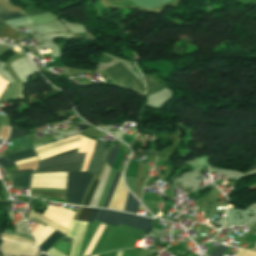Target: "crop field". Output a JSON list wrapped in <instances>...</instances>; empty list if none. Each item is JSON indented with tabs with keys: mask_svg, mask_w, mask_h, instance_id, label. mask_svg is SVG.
<instances>
[{
	"mask_svg": "<svg viewBox=\"0 0 256 256\" xmlns=\"http://www.w3.org/2000/svg\"><path fill=\"white\" fill-rule=\"evenodd\" d=\"M98 225H99V222H97V221H94L93 224H91V223L87 224V228H86V232H85V236H84V240H83V243H82V247H81V251H80L79 256H82L85 248L87 247V245H88L90 239L92 238L94 232L96 231ZM111 229H112V226L106 225V227H105L102 235L100 236L97 244L95 245L91 255L98 254L100 252V250H101L105 240L107 239ZM113 229H114V227H113ZM113 229H112V231H113ZM112 231H111V233H112ZM143 234H144L143 231H139V230L133 229V228L128 227V226L120 225L119 228L115 227L111 236L109 235L110 238L108 237L109 240L108 241L106 240L107 243L105 242L106 245L104 244L105 246H104L102 252L127 248L128 244L131 241V238H129L130 235L142 238ZM137 237L135 238L136 239L135 242L137 240H140V238H137ZM133 242H134V240L132 239L128 248H131ZM135 242H134V244H135ZM134 244H133V246H134ZM133 246H132V248H133Z\"/></svg>",
	"mask_w": 256,
	"mask_h": 256,
	"instance_id": "obj_1",
	"label": "crop field"
},
{
	"mask_svg": "<svg viewBox=\"0 0 256 256\" xmlns=\"http://www.w3.org/2000/svg\"><path fill=\"white\" fill-rule=\"evenodd\" d=\"M96 220L119 227L120 224L128 225L139 230L149 232L154 220L132 214L112 210H99Z\"/></svg>",
	"mask_w": 256,
	"mask_h": 256,
	"instance_id": "obj_2",
	"label": "crop field"
},
{
	"mask_svg": "<svg viewBox=\"0 0 256 256\" xmlns=\"http://www.w3.org/2000/svg\"><path fill=\"white\" fill-rule=\"evenodd\" d=\"M92 176L91 172L68 173L65 202L80 204Z\"/></svg>",
	"mask_w": 256,
	"mask_h": 256,
	"instance_id": "obj_3",
	"label": "crop field"
},
{
	"mask_svg": "<svg viewBox=\"0 0 256 256\" xmlns=\"http://www.w3.org/2000/svg\"><path fill=\"white\" fill-rule=\"evenodd\" d=\"M108 73L116 83L132 87L143 93V84L137 80L120 62L104 70Z\"/></svg>",
	"mask_w": 256,
	"mask_h": 256,
	"instance_id": "obj_4",
	"label": "crop field"
},
{
	"mask_svg": "<svg viewBox=\"0 0 256 256\" xmlns=\"http://www.w3.org/2000/svg\"><path fill=\"white\" fill-rule=\"evenodd\" d=\"M79 136L81 138V140H79V141H75V142L69 143L67 145H64V146H62L60 148L53 149V150L46 151V152H43L41 154H38L39 161L43 160L45 158L51 157L53 155H56V154H59V153L65 152V151L77 149V148H79L78 152H86L89 139L84 137V136H82V135H79ZM75 137H78V136H75ZM75 137H70V138H66V139L60 140L58 142H55V143L43 146L41 148L35 149L34 151L42 149V148H45V147H48V146H51V145H54L56 143H59V142H62V141H65V140H68V139H71V138H75Z\"/></svg>",
	"mask_w": 256,
	"mask_h": 256,
	"instance_id": "obj_5",
	"label": "crop field"
},
{
	"mask_svg": "<svg viewBox=\"0 0 256 256\" xmlns=\"http://www.w3.org/2000/svg\"><path fill=\"white\" fill-rule=\"evenodd\" d=\"M2 252L13 255L35 256L39 251L23 244H17L12 242H3Z\"/></svg>",
	"mask_w": 256,
	"mask_h": 256,
	"instance_id": "obj_6",
	"label": "crop field"
},
{
	"mask_svg": "<svg viewBox=\"0 0 256 256\" xmlns=\"http://www.w3.org/2000/svg\"><path fill=\"white\" fill-rule=\"evenodd\" d=\"M85 154L86 153H76L70 156L54 159V160L39 164L38 168L52 166V165L73 163V162H83Z\"/></svg>",
	"mask_w": 256,
	"mask_h": 256,
	"instance_id": "obj_7",
	"label": "crop field"
},
{
	"mask_svg": "<svg viewBox=\"0 0 256 256\" xmlns=\"http://www.w3.org/2000/svg\"><path fill=\"white\" fill-rule=\"evenodd\" d=\"M83 163H73L37 169L36 173L80 171Z\"/></svg>",
	"mask_w": 256,
	"mask_h": 256,
	"instance_id": "obj_8",
	"label": "crop field"
},
{
	"mask_svg": "<svg viewBox=\"0 0 256 256\" xmlns=\"http://www.w3.org/2000/svg\"><path fill=\"white\" fill-rule=\"evenodd\" d=\"M53 231L54 229L48 226L45 228L39 224V226L32 233L37 243V246H39Z\"/></svg>",
	"mask_w": 256,
	"mask_h": 256,
	"instance_id": "obj_9",
	"label": "crop field"
},
{
	"mask_svg": "<svg viewBox=\"0 0 256 256\" xmlns=\"http://www.w3.org/2000/svg\"><path fill=\"white\" fill-rule=\"evenodd\" d=\"M31 174L32 173L12 174L13 187H29Z\"/></svg>",
	"mask_w": 256,
	"mask_h": 256,
	"instance_id": "obj_10",
	"label": "crop field"
},
{
	"mask_svg": "<svg viewBox=\"0 0 256 256\" xmlns=\"http://www.w3.org/2000/svg\"><path fill=\"white\" fill-rule=\"evenodd\" d=\"M62 236L64 235L55 230L38 248L45 252Z\"/></svg>",
	"mask_w": 256,
	"mask_h": 256,
	"instance_id": "obj_11",
	"label": "crop field"
},
{
	"mask_svg": "<svg viewBox=\"0 0 256 256\" xmlns=\"http://www.w3.org/2000/svg\"><path fill=\"white\" fill-rule=\"evenodd\" d=\"M89 209L90 208L83 207L79 216H78V218H77V220L84 221L86 216H87V213H88ZM98 210L99 209L91 208L85 221L86 222H93V220L95 219V217L97 215Z\"/></svg>",
	"mask_w": 256,
	"mask_h": 256,
	"instance_id": "obj_12",
	"label": "crop field"
},
{
	"mask_svg": "<svg viewBox=\"0 0 256 256\" xmlns=\"http://www.w3.org/2000/svg\"><path fill=\"white\" fill-rule=\"evenodd\" d=\"M30 217H33V218H36V219H39V220L43 221L44 223H46L47 225H49V226L55 228L56 230H58L59 232H61V233L64 234V235H66V233L68 232L67 229L62 228V227H60V226H58V225H56V224L50 222L49 220L45 219L44 217H42V216L36 214L34 211H31V212H30V215H29L28 218H30Z\"/></svg>",
	"mask_w": 256,
	"mask_h": 256,
	"instance_id": "obj_13",
	"label": "crop field"
},
{
	"mask_svg": "<svg viewBox=\"0 0 256 256\" xmlns=\"http://www.w3.org/2000/svg\"><path fill=\"white\" fill-rule=\"evenodd\" d=\"M144 80H145V85H146V96H149L151 94H154L158 91H160L161 89H163V87H160L158 85H156L153 81H151L148 77H146L145 75H143Z\"/></svg>",
	"mask_w": 256,
	"mask_h": 256,
	"instance_id": "obj_14",
	"label": "crop field"
},
{
	"mask_svg": "<svg viewBox=\"0 0 256 256\" xmlns=\"http://www.w3.org/2000/svg\"><path fill=\"white\" fill-rule=\"evenodd\" d=\"M139 206L138 201L133 197V195L129 192L127 200H126V206L125 210L126 212H132L136 214L137 208Z\"/></svg>",
	"mask_w": 256,
	"mask_h": 256,
	"instance_id": "obj_15",
	"label": "crop field"
},
{
	"mask_svg": "<svg viewBox=\"0 0 256 256\" xmlns=\"http://www.w3.org/2000/svg\"><path fill=\"white\" fill-rule=\"evenodd\" d=\"M71 246H72L71 244L58 240V242L52 248L56 249L57 251L64 254L65 256H69Z\"/></svg>",
	"mask_w": 256,
	"mask_h": 256,
	"instance_id": "obj_16",
	"label": "crop field"
},
{
	"mask_svg": "<svg viewBox=\"0 0 256 256\" xmlns=\"http://www.w3.org/2000/svg\"><path fill=\"white\" fill-rule=\"evenodd\" d=\"M101 161L102 159L95 152H93L87 171H92L93 174H96Z\"/></svg>",
	"mask_w": 256,
	"mask_h": 256,
	"instance_id": "obj_17",
	"label": "crop field"
},
{
	"mask_svg": "<svg viewBox=\"0 0 256 256\" xmlns=\"http://www.w3.org/2000/svg\"><path fill=\"white\" fill-rule=\"evenodd\" d=\"M132 251H133V249H131V250H121V251H118L117 256H131ZM138 251H139V249H134L132 256H136ZM116 252L117 251H114V252H112V254H111V252L105 253L104 256H110V254H111V256H116ZM102 255L103 254H101L99 256H102Z\"/></svg>",
	"mask_w": 256,
	"mask_h": 256,
	"instance_id": "obj_18",
	"label": "crop field"
},
{
	"mask_svg": "<svg viewBox=\"0 0 256 256\" xmlns=\"http://www.w3.org/2000/svg\"><path fill=\"white\" fill-rule=\"evenodd\" d=\"M20 17H27V15L23 12H16V13H1L0 19L3 21L14 19V18H20Z\"/></svg>",
	"mask_w": 256,
	"mask_h": 256,
	"instance_id": "obj_19",
	"label": "crop field"
},
{
	"mask_svg": "<svg viewBox=\"0 0 256 256\" xmlns=\"http://www.w3.org/2000/svg\"><path fill=\"white\" fill-rule=\"evenodd\" d=\"M30 194H35V195H41V196H48L56 199H61L64 200L65 194L61 193H54V192H30Z\"/></svg>",
	"mask_w": 256,
	"mask_h": 256,
	"instance_id": "obj_20",
	"label": "crop field"
},
{
	"mask_svg": "<svg viewBox=\"0 0 256 256\" xmlns=\"http://www.w3.org/2000/svg\"><path fill=\"white\" fill-rule=\"evenodd\" d=\"M17 32H15L13 29H11L10 27H2V32H1V36L2 37H6V38H13L15 39L17 36Z\"/></svg>",
	"mask_w": 256,
	"mask_h": 256,
	"instance_id": "obj_21",
	"label": "crop field"
},
{
	"mask_svg": "<svg viewBox=\"0 0 256 256\" xmlns=\"http://www.w3.org/2000/svg\"><path fill=\"white\" fill-rule=\"evenodd\" d=\"M119 175H120V173L117 172L116 175H115V177H114V180H113V182H112V184H111V187H110V189H109V192H108V195H107L105 204H104V206H103V207H105V208L108 207V204H109V201H110L112 192H113V190H114V187H115V185H116V182H117V180H118Z\"/></svg>",
	"mask_w": 256,
	"mask_h": 256,
	"instance_id": "obj_22",
	"label": "crop field"
},
{
	"mask_svg": "<svg viewBox=\"0 0 256 256\" xmlns=\"http://www.w3.org/2000/svg\"><path fill=\"white\" fill-rule=\"evenodd\" d=\"M18 140H19V149H18V151L32 148L28 136L23 137V138H19Z\"/></svg>",
	"mask_w": 256,
	"mask_h": 256,
	"instance_id": "obj_23",
	"label": "crop field"
},
{
	"mask_svg": "<svg viewBox=\"0 0 256 256\" xmlns=\"http://www.w3.org/2000/svg\"><path fill=\"white\" fill-rule=\"evenodd\" d=\"M31 154H34L33 149L23 151V152H19V153L9 154L6 157H7L8 160H10V159H15V158H19V157L28 156V155H31Z\"/></svg>",
	"mask_w": 256,
	"mask_h": 256,
	"instance_id": "obj_24",
	"label": "crop field"
},
{
	"mask_svg": "<svg viewBox=\"0 0 256 256\" xmlns=\"http://www.w3.org/2000/svg\"><path fill=\"white\" fill-rule=\"evenodd\" d=\"M33 156H36V155L34 154V155H31V156H28L25 158H29V157H33ZM25 158H21V159H25ZM21 159L7 161L6 157H2V158H0V166L2 168L13 166V165H15L14 162L21 160Z\"/></svg>",
	"mask_w": 256,
	"mask_h": 256,
	"instance_id": "obj_25",
	"label": "crop field"
},
{
	"mask_svg": "<svg viewBox=\"0 0 256 256\" xmlns=\"http://www.w3.org/2000/svg\"><path fill=\"white\" fill-rule=\"evenodd\" d=\"M24 135H27L24 128H12L9 140L12 138H16Z\"/></svg>",
	"mask_w": 256,
	"mask_h": 256,
	"instance_id": "obj_26",
	"label": "crop field"
},
{
	"mask_svg": "<svg viewBox=\"0 0 256 256\" xmlns=\"http://www.w3.org/2000/svg\"><path fill=\"white\" fill-rule=\"evenodd\" d=\"M6 23L10 24L11 26H19L23 24H30L32 21L29 19V17L25 19H20V20H13V21H6Z\"/></svg>",
	"mask_w": 256,
	"mask_h": 256,
	"instance_id": "obj_27",
	"label": "crop field"
},
{
	"mask_svg": "<svg viewBox=\"0 0 256 256\" xmlns=\"http://www.w3.org/2000/svg\"><path fill=\"white\" fill-rule=\"evenodd\" d=\"M36 177H67V173L36 174L32 178Z\"/></svg>",
	"mask_w": 256,
	"mask_h": 256,
	"instance_id": "obj_28",
	"label": "crop field"
},
{
	"mask_svg": "<svg viewBox=\"0 0 256 256\" xmlns=\"http://www.w3.org/2000/svg\"><path fill=\"white\" fill-rule=\"evenodd\" d=\"M106 145H107V144L100 143V142H98V141H97V143H96L95 151L99 154V156H100L101 158H103Z\"/></svg>",
	"mask_w": 256,
	"mask_h": 256,
	"instance_id": "obj_29",
	"label": "crop field"
},
{
	"mask_svg": "<svg viewBox=\"0 0 256 256\" xmlns=\"http://www.w3.org/2000/svg\"><path fill=\"white\" fill-rule=\"evenodd\" d=\"M97 183H98V181L95 180L94 183H93V185H92V187H91V189H90V191H89V193H88V195H87V197H86V199H85V201H84V202H85V203H84L85 206L88 205V203H89V201H90V199H91V196H92V194H93V192H94V190H95V188H96Z\"/></svg>",
	"mask_w": 256,
	"mask_h": 256,
	"instance_id": "obj_30",
	"label": "crop field"
},
{
	"mask_svg": "<svg viewBox=\"0 0 256 256\" xmlns=\"http://www.w3.org/2000/svg\"><path fill=\"white\" fill-rule=\"evenodd\" d=\"M227 248L228 247L219 244L217 249L210 256H221L227 250Z\"/></svg>",
	"mask_w": 256,
	"mask_h": 256,
	"instance_id": "obj_31",
	"label": "crop field"
},
{
	"mask_svg": "<svg viewBox=\"0 0 256 256\" xmlns=\"http://www.w3.org/2000/svg\"><path fill=\"white\" fill-rule=\"evenodd\" d=\"M118 148H119V147H117V146H114V147H113V150H112V153H111L109 162H108V164L110 165V167H112V165H113V163H114V161H115Z\"/></svg>",
	"mask_w": 256,
	"mask_h": 256,
	"instance_id": "obj_32",
	"label": "crop field"
},
{
	"mask_svg": "<svg viewBox=\"0 0 256 256\" xmlns=\"http://www.w3.org/2000/svg\"><path fill=\"white\" fill-rule=\"evenodd\" d=\"M78 139H79V138H77V139H72V140H68V141L62 142V143H60V144H57V145H54V146H51V147H48V148H45V149L36 151V154H38V153H40V152H43V151H46V150H49V149H52V148H55V147H58V146H60V145H63V144L69 143V142H72V141L78 140Z\"/></svg>",
	"mask_w": 256,
	"mask_h": 256,
	"instance_id": "obj_33",
	"label": "crop field"
},
{
	"mask_svg": "<svg viewBox=\"0 0 256 256\" xmlns=\"http://www.w3.org/2000/svg\"><path fill=\"white\" fill-rule=\"evenodd\" d=\"M140 165H141V164L139 163V164H138V173H137L136 188H135V192H134L135 195H136L137 188H138V179H139ZM141 168H142V166H141ZM140 184H141V173H140V180H139L138 192H139V189H140ZM138 192H137V196H138Z\"/></svg>",
	"mask_w": 256,
	"mask_h": 256,
	"instance_id": "obj_34",
	"label": "crop field"
},
{
	"mask_svg": "<svg viewBox=\"0 0 256 256\" xmlns=\"http://www.w3.org/2000/svg\"><path fill=\"white\" fill-rule=\"evenodd\" d=\"M77 150H78V149H77ZM77 150H73V151L66 152V153H63V154H60V155H56V156H54V157H52V158H49V159H47V160H44V161H48V160H51V159H54V158H57V157H61V156H65V155L73 154V153H76V152H77ZM44 161H42V162H44Z\"/></svg>",
	"mask_w": 256,
	"mask_h": 256,
	"instance_id": "obj_35",
	"label": "crop field"
},
{
	"mask_svg": "<svg viewBox=\"0 0 256 256\" xmlns=\"http://www.w3.org/2000/svg\"><path fill=\"white\" fill-rule=\"evenodd\" d=\"M35 160H37V157L21 160V161L16 162L15 164L18 165V164H22V163H26V162H30V161H35Z\"/></svg>",
	"mask_w": 256,
	"mask_h": 256,
	"instance_id": "obj_36",
	"label": "crop field"
},
{
	"mask_svg": "<svg viewBox=\"0 0 256 256\" xmlns=\"http://www.w3.org/2000/svg\"><path fill=\"white\" fill-rule=\"evenodd\" d=\"M256 169V161L253 162V164L249 167V169L247 171Z\"/></svg>",
	"mask_w": 256,
	"mask_h": 256,
	"instance_id": "obj_37",
	"label": "crop field"
},
{
	"mask_svg": "<svg viewBox=\"0 0 256 256\" xmlns=\"http://www.w3.org/2000/svg\"><path fill=\"white\" fill-rule=\"evenodd\" d=\"M21 172H32V170L13 171V172H8V173H21Z\"/></svg>",
	"mask_w": 256,
	"mask_h": 256,
	"instance_id": "obj_38",
	"label": "crop field"
},
{
	"mask_svg": "<svg viewBox=\"0 0 256 256\" xmlns=\"http://www.w3.org/2000/svg\"><path fill=\"white\" fill-rule=\"evenodd\" d=\"M244 250L239 249L235 256H241Z\"/></svg>",
	"mask_w": 256,
	"mask_h": 256,
	"instance_id": "obj_39",
	"label": "crop field"
},
{
	"mask_svg": "<svg viewBox=\"0 0 256 256\" xmlns=\"http://www.w3.org/2000/svg\"><path fill=\"white\" fill-rule=\"evenodd\" d=\"M4 24H5V23H3V22L0 21V26H2V25H4Z\"/></svg>",
	"mask_w": 256,
	"mask_h": 256,
	"instance_id": "obj_40",
	"label": "crop field"
},
{
	"mask_svg": "<svg viewBox=\"0 0 256 256\" xmlns=\"http://www.w3.org/2000/svg\"><path fill=\"white\" fill-rule=\"evenodd\" d=\"M0 11H6V10L0 7Z\"/></svg>",
	"mask_w": 256,
	"mask_h": 256,
	"instance_id": "obj_41",
	"label": "crop field"
},
{
	"mask_svg": "<svg viewBox=\"0 0 256 256\" xmlns=\"http://www.w3.org/2000/svg\"><path fill=\"white\" fill-rule=\"evenodd\" d=\"M41 256H46V255L42 254Z\"/></svg>",
	"mask_w": 256,
	"mask_h": 256,
	"instance_id": "obj_42",
	"label": "crop field"
},
{
	"mask_svg": "<svg viewBox=\"0 0 256 256\" xmlns=\"http://www.w3.org/2000/svg\"><path fill=\"white\" fill-rule=\"evenodd\" d=\"M0 29H1V27H0Z\"/></svg>",
	"mask_w": 256,
	"mask_h": 256,
	"instance_id": "obj_43",
	"label": "crop field"
}]
</instances>
